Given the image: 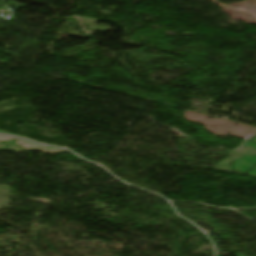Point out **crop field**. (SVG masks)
Returning <instances> with one entry per match:
<instances>
[{"instance_id": "crop-field-1", "label": "crop field", "mask_w": 256, "mask_h": 256, "mask_svg": "<svg viewBox=\"0 0 256 256\" xmlns=\"http://www.w3.org/2000/svg\"><path fill=\"white\" fill-rule=\"evenodd\" d=\"M245 147L256 149V144L247 142ZM255 163H256V157L250 159L249 157L244 156L241 159H239L238 161H236L235 164L233 165V167L236 170H240V171L246 172Z\"/></svg>"}, {"instance_id": "crop-field-2", "label": "crop field", "mask_w": 256, "mask_h": 256, "mask_svg": "<svg viewBox=\"0 0 256 256\" xmlns=\"http://www.w3.org/2000/svg\"><path fill=\"white\" fill-rule=\"evenodd\" d=\"M252 141H256V137H255V139L252 140ZM248 174L256 175V166H255L252 170H250V171L248 172Z\"/></svg>"}, {"instance_id": "crop-field-3", "label": "crop field", "mask_w": 256, "mask_h": 256, "mask_svg": "<svg viewBox=\"0 0 256 256\" xmlns=\"http://www.w3.org/2000/svg\"><path fill=\"white\" fill-rule=\"evenodd\" d=\"M237 256H242V255H240V254H237Z\"/></svg>"}]
</instances>
